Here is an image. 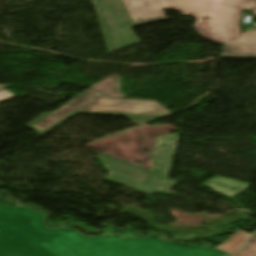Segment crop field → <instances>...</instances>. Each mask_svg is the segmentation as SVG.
<instances>
[{"label":"crop field","instance_id":"8a807250","mask_svg":"<svg viewBox=\"0 0 256 256\" xmlns=\"http://www.w3.org/2000/svg\"><path fill=\"white\" fill-rule=\"evenodd\" d=\"M38 213L0 204V223L58 256H223L203 247H183L159 239L87 238L72 230L47 229Z\"/></svg>","mask_w":256,"mask_h":256},{"label":"crop field","instance_id":"ac0d7876","mask_svg":"<svg viewBox=\"0 0 256 256\" xmlns=\"http://www.w3.org/2000/svg\"><path fill=\"white\" fill-rule=\"evenodd\" d=\"M163 9L197 18L193 27L217 44L256 45V31L239 34L243 10L252 11L256 0H159ZM256 16V10L254 14Z\"/></svg>","mask_w":256,"mask_h":256},{"label":"crop field","instance_id":"34b2d1b8","mask_svg":"<svg viewBox=\"0 0 256 256\" xmlns=\"http://www.w3.org/2000/svg\"><path fill=\"white\" fill-rule=\"evenodd\" d=\"M76 113L123 115L139 124L170 114L157 102L113 100L89 89L57 111L37 117L26 127L44 135Z\"/></svg>","mask_w":256,"mask_h":256},{"label":"crop field","instance_id":"412701ff","mask_svg":"<svg viewBox=\"0 0 256 256\" xmlns=\"http://www.w3.org/2000/svg\"><path fill=\"white\" fill-rule=\"evenodd\" d=\"M180 133L158 136L148 171L105 156L100 160L108 174V180L134 188L152 196L154 193L171 194L178 182L167 178Z\"/></svg>","mask_w":256,"mask_h":256},{"label":"crop field","instance_id":"f4fd0767","mask_svg":"<svg viewBox=\"0 0 256 256\" xmlns=\"http://www.w3.org/2000/svg\"><path fill=\"white\" fill-rule=\"evenodd\" d=\"M93 1L109 52L138 42L137 37L128 28L134 26V24L131 25L130 23H136L137 20H142L143 22L136 23L139 25L166 18L157 0ZM120 32H122L126 38H124ZM120 39L123 42H121ZM114 43L118 47H116Z\"/></svg>","mask_w":256,"mask_h":256},{"label":"crop field","instance_id":"dd49c442","mask_svg":"<svg viewBox=\"0 0 256 256\" xmlns=\"http://www.w3.org/2000/svg\"><path fill=\"white\" fill-rule=\"evenodd\" d=\"M0 256H57L0 224Z\"/></svg>","mask_w":256,"mask_h":256},{"label":"crop field","instance_id":"e52e79f7","mask_svg":"<svg viewBox=\"0 0 256 256\" xmlns=\"http://www.w3.org/2000/svg\"><path fill=\"white\" fill-rule=\"evenodd\" d=\"M213 189L215 192L221 193L230 198L235 197L244 189H246L250 184L242 183L239 181L231 180L224 177L215 176L209 181L202 184Z\"/></svg>","mask_w":256,"mask_h":256},{"label":"crop field","instance_id":"d8731c3e","mask_svg":"<svg viewBox=\"0 0 256 256\" xmlns=\"http://www.w3.org/2000/svg\"><path fill=\"white\" fill-rule=\"evenodd\" d=\"M222 58H256V46L224 45Z\"/></svg>","mask_w":256,"mask_h":256},{"label":"crop field","instance_id":"5a996713","mask_svg":"<svg viewBox=\"0 0 256 256\" xmlns=\"http://www.w3.org/2000/svg\"><path fill=\"white\" fill-rule=\"evenodd\" d=\"M250 234L237 230L228 240L215 247L227 253L241 248Z\"/></svg>","mask_w":256,"mask_h":256},{"label":"crop field","instance_id":"3316defc","mask_svg":"<svg viewBox=\"0 0 256 256\" xmlns=\"http://www.w3.org/2000/svg\"><path fill=\"white\" fill-rule=\"evenodd\" d=\"M230 256H256V233L252 235L244 249Z\"/></svg>","mask_w":256,"mask_h":256},{"label":"crop field","instance_id":"28ad6ade","mask_svg":"<svg viewBox=\"0 0 256 256\" xmlns=\"http://www.w3.org/2000/svg\"><path fill=\"white\" fill-rule=\"evenodd\" d=\"M14 96H16V95L5 90V89L0 91V101L6 100V99L14 97Z\"/></svg>","mask_w":256,"mask_h":256},{"label":"crop field","instance_id":"d1516ede","mask_svg":"<svg viewBox=\"0 0 256 256\" xmlns=\"http://www.w3.org/2000/svg\"><path fill=\"white\" fill-rule=\"evenodd\" d=\"M9 86H12V85H3V84H0V90L3 89V88L9 87Z\"/></svg>","mask_w":256,"mask_h":256},{"label":"crop field","instance_id":"22f410ed","mask_svg":"<svg viewBox=\"0 0 256 256\" xmlns=\"http://www.w3.org/2000/svg\"><path fill=\"white\" fill-rule=\"evenodd\" d=\"M255 141H256V139H255Z\"/></svg>","mask_w":256,"mask_h":256}]
</instances>
